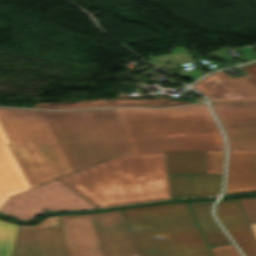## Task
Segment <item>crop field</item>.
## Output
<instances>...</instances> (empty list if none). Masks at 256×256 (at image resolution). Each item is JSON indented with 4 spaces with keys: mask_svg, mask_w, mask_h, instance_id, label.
<instances>
[{
    "mask_svg": "<svg viewBox=\"0 0 256 256\" xmlns=\"http://www.w3.org/2000/svg\"><path fill=\"white\" fill-rule=\"evenodd\" d=\"M58 179L98 207L172 198L164 152L119 155Z\"/></svg>",
    "mask_w": 256,
    "mask_h": 256,
    "instance_id": "crop-field-1",
    "label": "crop field"
},
{
    "mask_svg": "<svg viewBox=\"0 0 256 256\" xmlns=\"http://www.w3.org/2000/svg\"><path fill=\"white\" fill-rule=\"evenodd\" d=\"M114 110L131 153L224 149L206 104Z\"/></svg>",
    "mask_w": 256,
    "mask_h": 256,
    "instance_id": "crop-field-2",
    "label": "crop field"
},
{
    "mask_svg": "<svg viewBox=\"0 0 256 256\" xmlns=\"http://www.w3.org/2000/svg\"><path fill=\"white\" fill-rule=\"evenodd\" d=\"M40 111L73 172L130 153L113 109Z\"/></svg>",
    "mask_w": 256,
    "mask_h": 256,
    "instance_id": "crop-field-3",
    "label": "crop field"
},
{
    "mask_svg": "<svg viewBox=\"0 0 256 256\" xmlns=\"http://www.w3.org/2000/svg\"><path fill=\"white\" fill-rule=\"evenodd\" d=\"M0 123L31 188L72 173L39 110L0 108Z\"/></svg>",
    "mask_w": 256,
    "mask_h": 256,
    "instance_id": "crop-field-4",
    "label": "crop field"
},
{
    "mask_svg": "<svg viewBox=\"0 0 256 256\" xmlns=\"http://www.w3.org/2000/svg\"><path fill=\"white\" fill-rule=\"evenodd\" d=\"M140 210L164 256H210L186 203Z\"/></svg>",
    "mask_w": 256,
    "mask_h": 256,
    "instance_id": "crop-field-5",
    "label": "crop field"
},
{
    "mask_svg": "<svg viewBox=\"0 0 256 256\" xmlns=\"http://www.w3.org/2000/svg\"><path fill=\"white\" fill-rule=\"evenodd\" d=\"M95 205L55 179L33 189L9 197L0 207V212L17 218L29 219L41 210L90 209Z\"/></svg>",
    "mask_w": 256,
    "mask_h": 256,
    "instance_id": "crop-field-6",
    "label": "crop field"
},
{
    "mask_svg": "<svg viewBox=\"0 0 256 256\" xmlns=\"http://www.w3.org/2000/svg\"><path fill=\"white\" fill-rule=\"evenodd\" d=\"M165 154L173 198L219 193L222 176L205 174V151Z\"/></svg>",
    "mask_w": 256,
    "mask_h": 256,
    "instance_id": "crop-field-7",
    "label": "crop field"
},
{
    "mask_svg": "<svg viewBox=\"0 0 256 256\" xmlns=\"http://www.w3.org/2000/svg\"><path fill=\"white\" fill-rule=\"evenodd\" d=\"M229 149L256 148V102L211 103Z\"/></svg>",
    "mask_w": 256,
    "mask_h": 256,
    "instance_id": "crop-field-8",
    "label": "crop field"
},
{
    "mask_svg": "<svg viewBox=\"0 0 256 256\" xmlns=\"http://www.w3.org/2000/svg\"><path fill=\"white\" fill-rule=\"evenodd\" d=\"M13 256H66L59 216L21 226Z\"/></svg>",
    "mask_w": 256,
    "mask_h": 256,
    "instance_id": "crop-field-9",
    "label": "crop field"
},
{
    "mask_svg": "<svg viewBox=\"0 0 256 256\" xmlns=\"http://www.w3.org/2000/svg\"><path fill=\"white\" fill-rule=\"evenodd\" d=\"M92 215L103 256H142L121 210Z\"/></svg>",
    "mask_w": 256,
    "mask_h": 256,
    "instance_id": "crop-field-10",
    "label": "crop field"
},
{
    "mask_svg": "<svg viewBox=\"0 0 256 256\" xmlns=\"http://www.w3.org/2000/svg\"><path fill=\"white\" fill-rule=\"evenodd\" d=\"M192 87L207 95L210 102L256 100V85L244 75L231 78L221 71L201 79Z\"/></svg>",
    "mask_w": 256,
    "mask_h": 256,
    "instance_id": "crop-field-11",
    "label": "crop field"
},
{
    "mask_svg": "<svg viewBox=\"0 0 256 256\" xmlns=\"http://www.w3.org/2000/svg\"><path fill=\"white\" fill-rule=\"evenodd\" d=\"M60 217L67 256H102L91 214Z\"/></svg>",
    "mask_w": 256,
    "mask_h": 256,
    "instance_id": "crop-field-12",
    "label": "crop field"
},
{
    "mask_svg": "<svg viewBox=\"0 0 256 256\" xmlns=\"http://www.w3.org/2000/svg\"><path fill=\"white\" fill-rule=\"evenodd\" d=\"M216 213L245 256H256V239L237 200L219 202Z\"/></svg>",
    "mask_w": 256,
    "mask_h": 256,
    "instance_id": "crop-field-13",
    "label": "crop field"
},
{
    "mask_svg": "<svg viewBox=\"0 0 256 256\" xmlns=\"http://www.w3.org/2000/svg\"><path fill=\"white\" fill-rule=\"evenodd\" d=\"M256 191V149L229 150L225 194Z\"/></svg>",
    "mask_w": 256,
    "mask_h": 256,
    "instance_id": "crop-field-14",
    "label": "crop field"
},
{
    "mask_svg": "<svg viewBox=\"0 0 256 256\" xmlns=\"http://www.w3.org/2000/svg\"><path fill=\"white\" fill-rule=\"evenodd\" d=\"M174 99L157 96L155 99H110V100H87L67 103H37L34 107L47 109H78L87 107H113V106H143V107H165L187 104Z\"/></svg>",
    "mask_w": 256,
    "mask_h": 256,
    "instance_id": "crop-field-15",
    "label": "crop field"
},
{
    "mask_svg": "<svg viewBox=\"0 0 256 256\" xmlns=\"http://www.w3.org/2000/svg\"><path fill=\"white\" fill-rule=\"evenodd\" d=\"M30 189L8 145H0V205L12 194Z\"/></svg>",
    "mask_w": 256,
    "mask_h": 256,
    "instance_id": "crop-field-16",
    "label": "crop field"
},
{
    "mask_svg": "<svg viewBox=\"0 0 256 256\" xmlns=\"http://www.w3.org/2000/svg\"><path fill=\"white\" fill-rule=\"evenodd\" d=\"M126 220L143 256H161L162 253L150 232L139 208L123 210Z\"/></svg>",
    "mask_w": 256,
    "mask_h": 256,
    "instance_id": "crop-field-17",
    "label": "crop field"
},
{
    "mask_svg": "<svg viewBox=\"0 0 256 256\" xmlns=\"http://www.w3.org/2000/svg\"><path fill=\"white\" fill-rule=\"evenodd\" d=\"M213 202L206 201L190 204L209 246L231 243L210 213Z\"/></svg>",
    "mask_w": 256,
    "mask_h": 256,
    "instance_id": "crop-field-18",
    "label": "crop field"
},
{
    "mask_svg": "<svg viewBox=\"0 0 256 256\" xmlns=\"http://www.w3.org/2000/svg\"><path fill=\"white\" fill-rule=\"evenodd\" d=\"M20 225L0 220V256H12Z\"/></svg>",
    "mask_w": 256,
    "mask_h": 256,
    "instance_id": "crop-field-19",
    "label": "crop field"
},
{
    "mask_svg": "<svg viewBox=\"0 0 256 256\" xmlns=\"http://www.w3.org/2000/svg\"><path fill=\"white\" fill-rule=\"evenodd\" d=\"M224 150L206 151V173L223 175Z\"/></svg>",
    "mask_w": 256,
    "mask_h": 256,
    "instance_id": "crop-field-20",
    "label": "crop field"
},
{
    "mask_svg": "<svg viewBox=\"0 0 256 256\" xmlns=\"http://www.w3.org/2000/svg\"><path fill=\"white\" fill-rule=\"evenodd\" d=\"M249 224L256 223V199H238Z\"/></svg>",
    "mask_w": 256,
    "mask_h": 256,
    "instance_id": "crop-field-21",
    "label": "crop field"
},
{
    "mask_svg": "<svg viewBox=\"0 0 256 256\" xmlns=\"http://www.w3.org/2000/svg\"><path fill=\"white\" fill-rule=\"evenodd\" d=\"M213 256H241L233 244L210 247Z\"/></svg>",
    "mask_w": 256,
    "mask_h": 256,
    "instance_id": "crop-field-22",
    "label": "crop field"
},
{
    "mask_svg": "<svg viewBox=\"0 0 256 256\" xmlns=\"http://www.w3.org/2000/svg\"><path fill=\"white\" fill-rule=\"evenodd\" d=\"M237 69L256 84V62L237 67Z\"/></svg>",
    "mask_w": 256,
    "mask_h": 256,
    "instance_id": "crop-field-23",
    "label": "crop field"
},
{
    "mask_svg": "<svg viewBox=\"0 0 256 256\" xmlns=\"http://www.w3.org/2000/svg\"><path fill=\"white\" fill-rule=\"evenodd\" d=\"M219 51H214L212 52L210 56H214L216 58H219V59H223V60H227L228 61V64L231 65V63L233 62V59L231 58V56L227 53V51L225 49H219Z\"/></svg>",
    "mask_w": 256,
    "mask_h": 256,
    "instance_id": "crop-field-24",
    "label": "crop field"
},
{
    "mask_svg": "<svg viewBox=\"0 0 256 256\" xmlns=\"http://www.w3.org/2000/svg\"><path fill=\"white\" fill-rule=\"evenodd\" d=\"M248 61L256 59V51L250 46H244L239 48Z\"/></svg>",
    "mask_w": 256,
    "mask_h": 256,
    "instance_id": "crop-field-25",
    "label": "crop field"
},
{
    "mask_svg": "<svg viewBox=\"0 0 256 256\" xmlns=\"http://www.w3.org/2000/svg\"><path fill=\"white\" fill-rule=\"evenodd\" d=\"M0 144H10L8 137L1 125H0Z\"/></svg>",
    "mask_w": 256,
    "mask_h": 256,
    "instance_id": "crop-field-26",
    "label": "crop field"
},
{
    "mask_svg": "<svg viewBox=\"0 0 256 256\" xmlns=\"http://www.w3.org/2000/svg\"><path fill=\"white\" fill-rule=\"evenodd\" d=\"M255 237H256V224L250 225Z\"/></svg>",
    "mask_w": 256,
    "mask_h": 256,
    "instance_id": "crop-field-27",
    "label": "crop field"
}]
</instances>
